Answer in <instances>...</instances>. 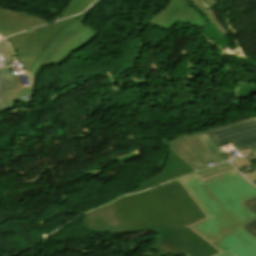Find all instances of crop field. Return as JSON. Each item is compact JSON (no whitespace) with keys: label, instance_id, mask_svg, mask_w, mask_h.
Here are the masks:
<instances>
[{"label":"crop field","instance_id":"crop-field-6","mask_svg":"<svg viewBox=\"0 0 256 256\" xmlns=\"http://www.w3.org/2000/svg\"><path fill=\"white\" fill-rule=\"evenodd\" d=\"M192 172H195V169L188 165L187 162H185L177 154H175V152L170 150L167 164L160 174L143 181L135 190L129 191L125 194L139 192Z\"/></svg>","mask_w":256,"mask_h":256},{"label":"crop field","instance_id":"crop-field-2","mask_svg":"<svg viewBox=\"0 0 256 256\" xmlns=\"http://www.w3.org/2000/svg\"><path fill=\"white\" fill-rule=\"evenodd\" d=\"M207 218L190 226L220 253L256 256V238L241 227L256 219L241 201L256 196V187L236 170L203 180L197 173L179 179Z\"/></svg>","mask_w":256,"mask_h":256},{"label":"crop field","instance_id":"crop-field-4","mask_svg":"<svg viewBox=\"0 0 256 256\" xmlns=\"http://www.w3.org/2000/svg\"><path fill=\"white\" fill-rule=\"evenodd\" d=\"M217 159L228 158L218 146L233 143L237 150L256 146V117L196 133Z\"/></svg>","mask_w":256,"mask_h":256},{"label":"crop field","instance_id":"crop-field-7","mask_svg":"<svg viewBox=\"0 0 256 256\" xmlns=\"http://www.w3.org/2000/svg\"><path fill=\"white\" fill-rule=\"evenodd\" d=\"M46 23L47 22L31 14L6 10L0 7V35L3 37L32 29Z\"/></svg>","mask_w":256,"mask_h":256},{"label":"crop field","instance_id":"crop-field-12","mask_svg":"<svg viewBox=\"0 0 256 256\" xmlns=\"http://www.w3.org/2000/svg\"><path fill=\"white\" fill-rule=\"evenodd\" d=\"M254 213H256V197L243 201ZM256 237V220L242 227Z\"/></svg>","mask_w":256,"mask_h":256},{"label":"crop field","instance_id":"crop-field-10","mask_svg":"<svg viewBox=\"0 0 256 256\" xmlns=\"http://www.w3.org/2000/svg\"><path fill=\"white\" fill-rule=\"evenodd\" d=\"M95 0H70L66 10L64 11L63 15L60 19L78 14L89 7Z\"/></svg>","mask_w":256,"mask_h":256},{"label":"crop field","instance_id":"crop-field-5","mask_svg":"<svg viewBox=\"0 0 256 256\" xmlns=\"http://www.w3.org/2000/svg\"><path fill=\"white\" fill-rule=\"evenodd\" d=\"M166 143L197 170L207 168L206 164L213 161L219 164L195 133L184 134Z\"/></svg>","mask_w":256,"mask_h":256},{"label":"crop field","instance_id":"crop-field-9","mask_svg":"<svg viewBox=\"0 0 256 256\" xmlns=\"http://www.w3.org/2000/svg\"><path fill=\"white\" fill-rule=\"evenodd\" d=\"M187 2L190 3L192 6H194L199 12H201L210 23L213 22L221 33H223L224 35L229 34V32L219 22L212 8V6L217 5L219 3L215 1L214 3L210 4L212 9L206 10L204 5L199 0H187Z\"/></svg>","mask_w":256,"mask_h":256},{"label":"crop field","instance_id":"crop-field-15","mask_svg":"<svg viewBox=\"0 0 256 256\" xmlns=\"http://www.w3.org/2000/svg\"><path fill=\"white\" fill-rule=\"evenodd\" d=\"M200 1L205 5L206 9L210 8L209 5H207L203 0H200Z\"/></svg>","mask_w":256,"mask_h":256},{"label":"crop field","instance_id":"crop-field-1","mask_svg":"<svg viewBox=\"0 0 256 256\" xmlns=\"http://www.w3.org/2000/svg\"><path fill=\"white\" fill-rule=\"evenodd\" d=\"M203 218L183 185L175 180L87 212L83 224L101 233L157 232L155 243L138 256H212L218 251L187 227Z\"/></svg>","mask_w":256,"mask_h":256},{"label":"crop field","instance_id":"crop-field-14","mask_svg":"<svg viewBox=\"0 0 256 256\" xmlns=\"http://www.w3.org/2000/svg\"><path fill=\"white\" fill-rule=\"evenodd\" d=\"M239 153L241 154V156H243V155H246V154L253 153V150H252V148L244 149V150H240Z\"/></svg>","mask_w":256,"mask_h":256},{"label":"crop field","instance_id":"crop-field-11","mask_svg":"<svg viewBox=\"0 0 256 256\" xmlns=\"http://www.w3.org/2000/svg\"><path fill=\"white\" fill-rule=\"evenodd\" d=\"M234 169L230 162L197 172L203 179Z\"/></svg>","mask_w":256,"mask_h":256},{"label":"crop field","instance_id":"crop-field-17","mask_svg":"<svg viewBox=\"0 0 256 256\" xmlns=\"http://www.w3.org/2000/svg\"><path fill=\"white\" fill-rule=\"evenodd\" d=\"M252 183L256 184V181H253Z\"/></svg>","mask_w":256,"mask_h":256},{"label":"crop field","instance_id":"crop-field-16","mask_svg":"<svg viewBox=\"0 0 256 256\" xmlns=\"http://www.w3.org/2000/svg\"><path fill=\"white\" fill-rule=\"evenodd\" d=\"M206 3H211V2H213L214 0H204Z\"/></svg>","mask_w":256,"mask_h":256},{"label":"crop field","instance_id":"crop-field-8","mask_svg":"<svg viewBox=\"0 0 256 256\" xmlns=\"http://www.w3.org/2000/svg\"><path fill=\"white\" fill-rule=\"evenodd\" d=\"M12 52L6 42H0V112L8 110L4 90L15 88L13 72L4 68L3 62H12Z\"/></svg>","mask_w":256,"mask_h":256},{"label":"crop field","instance_id":"crop-field-18","mask_svg":"<svg viewBox=\"0 0 256 256\" xmlns=\"http://www.w3.org/2000/svg\"><path fill=\"white\" fill-rule=\"evenodd\" d=\"M3 38L2 36H0V39Z\"/></svg>","mask_w":256,"mask_h":256},{"label":"crop field","instance_id":"crop-field-3","mask_svg":"<svg viewBox=\"0 0 256 256\" xmlns=\"http://www.w3.org/2000/svg\"><path fill=\"white\" fill-rule=\"evenodd\" d=\"M98 0L86 12L58 23L7 37L15 60L24 64V72L31 87L23 88L14 75L16 89L5 91L9 110L16 101L31 104L35 78L42 66L59 65L74 51L87 45L98 33L82 24L84 18ZM167 7L151 17L150 25L168 31L193 9L184 0H169ZM47 47L46 50L42 47Z\"/></svg>","mask_w":256,"mask_h":256},{"label":"crop field","instance_id":"crop-field-13","mask_svg":"<svg viewBox=\"0 0 256 256\" xmlns=\"http://www.w3.org/2000/svg\"><path fill=\"white\" fill-rule=\"evenodd\" d=\"M232 162L236 165V167H237L238 169L243 168V167H246V166L252 164L246 157L241 158V159L234 160V161H232Z\"/></svg>","mask_w":256,"mask_h":256}]
</instances>
